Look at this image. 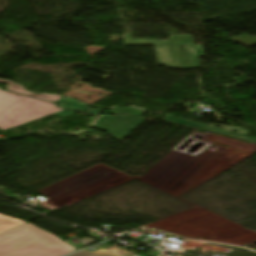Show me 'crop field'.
<instances>
[{
  "mask_svg": "<svg viewBox=\"0 0 256 256\" xmlns=\"http://www.w3.org/2000/svg\"><path fill=\"white\" fill-rule=\"evenodd\" d=\"M74 250L77 249L30 223L0 233V256H61Z\"/></svg>",
  "mask_w": 256,
  "mask_h": 256,
  "instance_id": "8a807250",
  "label": "crop field"
},
{
  "mask_svg": "<svg viewBox=\"0 0 256 256\" xmlns=\"http://www.w3.org/2000/svg\"><path fill=\"white\" fill-rule=\"evenodd\" d=\"M61 110L49 102L0 91V129L3 131Z\"/></svg>",
  "mask_w": 256,
  "mask_h": 256,
  "instance_id": "ac0d7876",
  "label": "crop field"
},
{
  "mask_svg": "<svg viewBox=\"0 0 256 256\" xmlns=\"http://www.w3.org/2000/svg\"><path fill=\"white\" fill-rule=\"evenodd\" d=\"M159 65L173 68H191L198 66L196 49L194 45L155 46Z\"/></svg>",
  "mask_w": 256,
  "mask_h": 256,
  "instance_id": "34b2d1b8",
  "label": "crop field"
},
{
  "mask_svg": "<svg viewBox=\"0 0 256 256\" xmlns=\"http://www.w3.org/2000/svg\"><path fill=\"white\" fill-rule=\"evenodd\" d=\"M0 82L10 84L7 88L8 91L16 92V93H19V94H23V95H27V96H31V97H35V98H39V99H43V100H47V101H51V102H56L58 99L64 97V96H60V95H56V94H52V95H48L46 93L34 94V93L28 92L27 90L23 89L22 86L17 85L15 83L11 82V81L0 80Z\"/></svg>",
  "mask_w": 256,
  "mask_h": 256,
  "instance_id": "412701ff",
  "label": "crop field"
},
{
  "mask_svg": "<svg viewBox=\"0 0 256 256\" xmlns=\"http://www.w3.org/2000/svg\"><path fill=\"white\" fill-rule=\"evenodd\" d=\"M165 120H169V121H173V122H176V123H180V124H184V125H188V126H192V127H196V128H201V129H205V130H209V131H213V132L233 136V137L238 138V139L248 140V141H252V142L256 143V139H253V138H250V137H247V136H243V135L232 133V132H227V131H222V130L206 127V126H203V125L195 124V123L188 122V121L181 120V119L172 118L169 115L167 117H165Z\"/></svg>",
  "mask_w": 256,
  "mask_h": 256,
  "instance_id": "f4fd0767",
  "label": "crop field"
},
{
  "mask_svg": "<svg viewBox=\"0 0 256 256\" xmlns=\"http://www.w3.org/2000/svg\"><path fill=\"white\" fill-rule=\"evenodd\" d=\"M56 103L60 107L69 108L72 110L79 109L81 111H87V107H88V104L78 102L75 99H73L72 97H67V96H65L61 100L57 101Z\"/></svg>",
  "mask_w": 256,
  "mask_h": 256,
  "instance_id": "dd49c442",
  "label": "crop field"
},
{
  "mask_svg": "<svg viewBox=\"0 0 256 256\" xmlns=\"http://www.w3.org/2000/svg\"><path fill=\"white\" fill-rule=\"evenodd\" d=\"M25 223L22 220L0 214V232Z\"/></svg>",
  "mask_w": 256,
  "mask_h": 256,
  "instance_id": "e52e79f7",
  "label": "crop field"
},
{
  "mask_svg": "<svg viewBox=\"0 0 256 256\" xmlns=\"http://www.w3.org/2000/svg\"><path fill=\"white\" fill-rule=\"evenodd\" d=\"M98 246L102 247L101 248L102 251L109 252V253L117 255V256H137V255H135L131 252L120 249L118 247L112 246V245L107 244V243L100 244Z\"/></svg>",
  "mask_w": 256,
  "mask_h": 256,
  "instance_id": "d8731c3e",
  "label": "crop field"
},
{
  "mask_svg": "<svg viewBox=\"0 0 256 256\" xmlns=\"http://www.w3.org/2000/svg\"><path fill=\"white\" fill-rule=\"evenodd\" d=\"M80 252V251H79ZM71 256H114L109 253L101 252V251H82L80 253L71 255Z\"/></svg>",
  "mask_w": 256,
  "mask_h": 256,
  "instance_id": "5a996713",
  "label": "crop field"
},
{
  "mask_svg": "<svg viewBox=\"0 0 256 256\" xmlns=\"http://www.w3.org/2000/svg\"><path fill=\"white\" fill-rule=\"evenodd\" d=\"M74 113H76V112H74V111H68V112H66V111H61V112H57V113H54V114L57 115V116H59V117L65 118V117H68V116H70V115H72V114H74Z\"/></svg>",
  "mask_w": 256,
  "mask_h": 256,
  "instance_id": "3316defc",
  "label": "crop field"
}]
</instances>
